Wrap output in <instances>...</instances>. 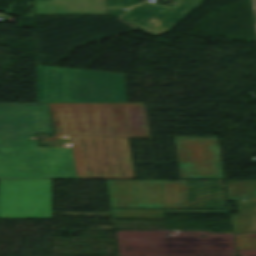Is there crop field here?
Here are the masks:
<instances>
[{
	"label": "crop field",
	"instance_id": "crop-field-1",
	"mask_svg": "<svg viewBox=\"0 0 256 256\" xmlns=\"http://www.w3.org/2000/svg\"><path fill=\"white\" fill-rule=\"evenodd\" d=\"M53 134L47 104H0V179H77L72 148H39Z\"/></svg>",
	"mask_w": 256,
	"mask_h": 256
},
{
	"label": "crop field",
	"instance_id": "crop-field-2",
	"mask_svg": "<svg viewBox=\"0 0 256 256\" xmlns=\"http://www.w3.org/2000/svg\"><path fill=\"white\" fill-rule=\"evenodd\" d=\"M38 103H127L124 74L38 65Z\"/></svg>",
	"mask_w": 256,
	"mask_h": 256
},
{
	"label": "crop field",
	"instance_id": "crop-field-3",
	"mask_svg": "<svg viewBox=\"0 0 256 256\" xmlns=\"http://www.w3.org/2000/svg\"><path fill=\"white\" fill-rule=\"evenodd\" d=\"M72 138L80 179H134L128 139Z\"/></svg>",
	"mask_w": 256,
	"mask_h": 256
},
{
	"label": "crop field",
	"instance_id": "crop-field-4",
	"mask_svg": "<svg viewBox=\"0 0 256 256\" xmlns=\"http://www.w3.org/2000/svg\"><path fill=\"white\" fill-rule=\"evenodd\" d=\"M0 218H51V180H0Z\"/></svg>",
	"mask_w": 256,
	"mask_h": 256
},
{
	"label": "crop field",
	"instance_id": "crop-field-5",
	"mask_svg": "<svg viewBox=\"0 0 256 256\" xmlns=\"http://www.w3.org/2000/svg\"><path fill=\"white\" fill-rule=\"evenodd\" d=\"M70 135L125 138L119 104H63Z\"/></svg>",
	"mask_w": 256,
	"mask_h": 256
},
{
	"label": "crop field",
	"instance_id": "crop-field-6",
	"mask_svg": "<svg viewBox=\"0 0 256 256\" xmlns=\"http://www.w3.org/2000/svg\"><path fill=\"white\" fill-rule=\"evenodd\" d=\"M112 208L172 209L169 181H107Z\"/></svg>",
	"mask_w": 256,
	"mask_h": 256
},
{
	"label": "crop field",
	"instance_id": "crop-field-7",
	"mask_svg": "<svg viewBox=\"0 0 256 256\" xmlns=\"http://www.w3.org/2000/svg\"><path fill=\"white\" fill-rule=\"evenodd\" d=\"M181 178L223 179L217 139L175 138Z\"/></svg>",
	"mask_w": 256,
	"mask_h": 256
},
{
	"label": "crop field",
	"instance_id": "crop-field-8",
	"mask_svg": "<svg viewBox=\"0 0 256 256\" xmlns=\"http://www.w3.org/2000/svg\"><path fill=\"white\" fill-rule=\"evenodd\" d=\"M180 1L173 8L159 4H142L122 19L152 35L168 32L205 0Z\"/></svg>",
	"mask_w": 256,
	"mask_h": 256
},
{
	"label": "crop field",
	"instance_id": "crop-field-9",
	"mask_svg": "<svg viewBox=\"0 0 256 256\" xmlns=\"http://www.w3.org/2000/svg\"><path fill=\"white\" fill-rule=\"evenodd\" d=\"M106 14L105 0H35V15Z\"/></svg>",
	"mask_w": 256,
	"mask_h": 256
},
{
	"label": "crop field",
	"instance_id": "crop-field-10",
	"mask_svg": "<svg viewBox=\"0 0 256 256\" xmlns=\"http://www.w3.org/2000/svg\"><path fill=\"white\" fill-rule=\"evenodd\" d=\"M126 138L148 139L150 132L144 104H120Z\"/></svg>",
	"mask_w": 256,
	"mask_h": 256
},
{
	"label": "crop field",
	"instance_id": "crop-field-11",
	"mask_svg": "<svg viewBox=\"0 0 256 256\" xmlns=\"http://www.w3.org/2000/svg\"><path fill=\"white\" fill-rule=\"evenodd\" d=\"M107 14L120 17L134 5L139 3V0H106ZM127 8V10H123Z\"/></svg>",
	"mask_w": 256,
	"mask_h": 256
},
{
	"label": "crop field",
	"instance_id": "crop-field-12",
	"mask_svg": "<svg viewBox=\"0 0 256 256\" xmlns=\"http://www.w3.org/2000/svg\"><path fill=\"white\" fill-rule=\"evenodd\" d=\"M60 134L69 135L62 104H53Z\"/></svg>",
	"mask_w": 256,
	"mask_h": 256
},
{
	"label": "crop field",
	"instance_id": "crop-field-13",
	"mask_svg": "<svg viewBox=\"0 0 256 256\" xmlns=\"http://www.w3.org/2000/svg\"><path fill=\"white\" fill-rule=\"evenodd\" d=\"M237 250L256 249V238L252 235H235Z\"/></svg>",
	"mask_w": 256,
	"mask_h": 256
},
{
	"label": "crop field",
	"instance_id": "crop-field-14",
	"mask_svg": "<svg viewBox=\"0 0 256 256\" xmlns=\"http://www.w3.org/2000/svg\"><path fill=\"white\" fill-rule=\"evenodd\" d=\"M253 3H254L255 15H256V0H253Z\"/></svg>",
	"mask_w": 256,
	"mask_h": 256
}]
</instances>
